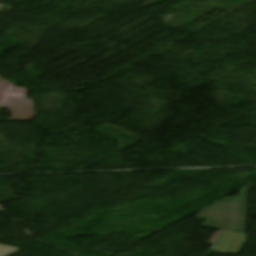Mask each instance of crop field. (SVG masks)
Returning <instances> with one entry per match:
<instances>
[{"mask_svg": "<svg viewBox=\"0 0 256 256\" xmlns=\"http://www.w3.org/2000/svg\"><path fill=\"white\" fill-rule=\"evenodd\" d=\"M19 249H15V248H10V247H5V246H1L0 245V256H8L16 251H18Z\"/></svg>", "mask_w": 256, "mask_h": 256, "instance_id": "obj_3", "label": "crop field"}, {"mask_svg": "<svg viewBox=\"0 0 256 256\" xmlns=\"http://www.w3.org/2000/svg\"><path fill=\"white\" fill-rule=\"evenodd\" d=\"M27 92L28 90L22 87L13 88L5 105V107L12 112L8 121H30L36 116L33 101L29 99H24Z\"/></svg>", "mask_w": 256, "mask_h": 256, "instance_id": "obj_2", "label": "crop field"}, {"mask_svg": "<svg viewBox=\"0 0 256 256\" xmlns=\"http://www.w3.org/2000/svg\"><path fill=\"white\" fill-rule=\"evenodd\" d=\"M248 186L241 189L239 198H225L201 211L197 217L205 218L202 227L221 230L209 241L213 245L222 231L245 234Z\"/></svg>", "mask_w": 256, "mask_h": 256, "instance_id": "obj_1", "label": "crop field"}]
</instances>
